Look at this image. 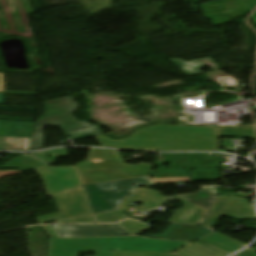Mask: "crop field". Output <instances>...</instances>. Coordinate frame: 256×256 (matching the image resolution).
<instances>
[{"instance_id":"8a807250","label":"crop field","mask_w":256,"mask_h":256,"mask_svg":"<svg viewBox=\"0 0 256 256\" xmlns=\"http://www.w3.org/2000/svg\"><path fill=\"white\" fill-rule=\"evenodd\" d=\"M50 235L48 256H78L95 252L96 256H177L173 252L189 243L142 237H89L60 239L52 226H43Z\"/></svg>"},{"instance_id":"ac0d7876","label":"crop field","mask_w":256,"mask_h":256,"mask_svg":"<svg viewBox=\"0 0 256 256\" xmlns=\"http://www.w3.org/2000/svg\"><path fill=\"white\" fill-rule=\"evenodd\" d=\"M102 147L147 151L218 150V128L211 126H148L126 140L113 141L103 135Z\"/></svg>"},{"instance_id":"34b2d1b8","label":"crop field","mask_w":256,"mask_h":256,"mask_svg":"<svg viewBox=\"0 0 256 256\" xmlns=\"http://www.w3.org/2000/svg\"><path fill=\"white\" fill-rule=\"evenodd\" d=\"M44 104L46 113L35 122L30 150L42 148L44 140L42 127L61 126L68 137L72 136L69 137L71 141L102 134L98 126L85 122L78 123L75 120L72 113L77 110L78 106L73 103L72 96L45 101ZM76 137L78 139H75Z\"/></svg>"},{"instance_id":"412701ff","label":"crop field","mask_w":256,"mask_h":256,"mask_svg":"<svg viewBox=\"0 0 256 256\" xmlns=\"http://www.w3.org/2000/svg\"><path fill=\"white\" fill-rule=\"evenodd\" d=\"M84 184L147 176L152 165L125 164L119 151L91 149L89 157L76 165Z\"/></svg>"},{"instance_id":"f4fd0767","label":"crop field","mask_w":256,"mask_h":256,"mask_svg":"<svg viewBox=\"0 0 256 256\" xmlns=\"http://www.w3.org/2000/svg\"><path fill=\"white\" fill-rule=\"evenodd\" d=\"M132 185H136L133 187ZM139 185L150 187L156 186L149 177L135 178L125 181L89 185L87 191L95 212L116 210L121 203L132 193Z\"/></svg>"},{"instance_id":"dd49c442","label":"crop field","mask_w":256,"mask_h":256,"mask_svg":"<svg viewBox=\"0 0 256 256\" xmlns=\"http://www.w3.org/2000/svg\"><path fill=\"white\" fill-rule=\"evenodd\" d=\"M256 7V0H222L219 2L199 5L206 19H211L214 26L231 23V19L248 15H231L249 13Z\"/></svg>"},{"instance_id":"e52e79f7","label":"crop field","mask_w":256,"mask_h":256,"mask_svg":"<svg viewBox=\"0 0 256 256\" xmlns=\"http://www.w3.org/2000/svg\"><path fill=\"white\" fill-rule=\"evenodd\" d=\"M34 171L42 177L49 196H54L82 185L75 166L57 168L50 166Z\"/></svg>"},{"instance_id":"d8731c3e","label":"crop field","mask_w":256,"mask_h":256,"mask_svg":"<svg viewBox=\"0 0 256 256\" xmlns=\"http://www.w3.org/2000/svg\"><path fill=\"white\" fill-rule=\"evenodd\" d=\"M61 238L89 236H124L116 225H67L54 227Z\"/></svg>"},{"instance_id":"5a996713","label":"crop field","mask_w":256,"mask_h":256,"mask_svg":"<svg viewBox=\"0 0 256 256\" xmlns=\"http://www.w3.org/2000/svg\"><path fill=\"white\" fill-rule=\"evenodd\" d=\"M210 232L211 231L200 226L170 224L160 235H152L148 237L194 241Z\"/></svg>"},{"instance_id":"3316defc","label":"crop field","mask_w":256,"mask_h":256,"mask_svg":"<svg viewBox=\"0 0 256 256\" xmlns=\"http://www.w3.org/2000/svg\"><path fill=\"white\" fill-rule=\"evenodd\" d=\"M199 240L228 254L246 245L216 232H212Z\"/></svg>"},{"instance_id":"28ad6ade","label":"crop field","mask_w":256,"mask_h":256,"mask_svg":"<svg viewBox=\"0 0 256 256\" xmlns=\"http://www.w3.org/2000/svg\"><path fill=\"white\" fill-rule=\"evenodd\" d=\"M170 60L173 61L188 76L201 74L202 72L200 70L206 66L210 67L213 71L222 70V68L211 57L193 60L189 62H186L182 59Z\"/></svg>"},{"instance_id":"d1516ede","label":"crop field","mask_w":256,"mask_h":256,"mask_svg":"<svg viewBox=\"0 0 256 256\" xmlns=\"http://www.w3.org/2000/svg\"><path fill=\"white\" fill-rule=\"evenodd\" d=\"M32 123L0 120V136L30 138ZM19 131H23L20 133Z\"/></svg>"},{"instance_id":"22f410ed","label":"crop field","mask_w":256,"mask_h":256,"mask_svg":"<svg viewBox=\"0 0 256 256\" xmlns=\"http://www.w3.org/2000/svg\"><path fill=\"white\" fill-rule=\"evenodd\" d=\"M179 256H226L228 254L216 250L200 241L192 243L175 252Z\"/></svg>"},{"instance_id":"cbeb9de0","label":"crop field","mask_w":256,"mask_h":256,"mask_svg":"<svg viewBox=\"0 0 256 256\" xmlns=\"http://www.w3.org/2000/svg\"><path fill=\"white\" fill-rule=\"evenodd\" d=\"M186 200L196 203L209 210L212 203L216 200V196L200 189L197 193L190 195H178Z\"/></svg>"},{"instance_id":"5142ce71","label":"crop field","mask_w":256,"mask_h":256,"mask_svg":"<svg viewBox=\"0 0 256 256\" xmlns=\"http://www.w3.org/2000/svg\"><path fill=\"white\" fill-rule=\"evenodd\" d=\"M18 141V144L16 142ZM30 139L5 137L3 150L28 151Z\"/></svg>"},{"instance_id":"d9b57169","label":"crop field","mask_w":256,"mask_h":256,"mask_svg":"<svg viewBox=\"0 0 256 256\" xmlns=\"http://www.w3.org/2000/svg\"><path fill=\"white\" fill-rule=\"evenodd\" d=\"M0 92H4V75L0 73Z\"/></svg>"},{"instance_id":"733c2abd","label":"crop field","mask_w":256,"mask_h":256,"mask_svg":"<svg viewBox=\"0 0 256 256\" xmlns=\"http://www.w3.org/2000/svg\"><path fill=\"white\" fill-rule=\"evenodd\" d=\"M203 189L208 190V191L213 192V193L216 194V191H215L214 187H203Z\"/></svg>"},{"instance_id":"4a817a6b","label":"crop field","mask_w":256,"mask_h":256,"mask_svg":"<svg viewBox=\"0 0 256 256\" xmlns=\"http://www.w3.org/2000/svg\"><path fill=\"white\" fill-rule=\"evenodd\" d=\"M4 144V137H0V150H2Z\"/></svg>"},{"instance_id":"bc2a9ffb","label":"crop field","mask_w":256,"mask_h":256,"mask_svg":"<svg viewBox=\"0 0 256 256\" xmlns=\"http://www.w3.org/2000/svg\"><path fill=\"white\" fill-rule=\"evenodd\" d=\"M0 104H4V94H0Z\"/></svg>"},{"instance_id":"214f88e0","label":"crop field","mask_w":256,"mask_h":256,"mask_svg":"<svg viewBox=\"0 0 256 256\" xmlns=\"http://www.w3.org/2000/svg\"><path fill=\"white\" fill-rule=\"evenodd\" d=\"M251 20H254L253 23L256 24V12L253 14V16L251 17Z\"/></svg>"}]
</instances>
